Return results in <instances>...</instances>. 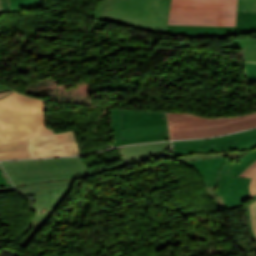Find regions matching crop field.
Masks as SVG:
<instances>
[{
	"label": "crop field",
	"mask_w": 256,
	"mask_h": 256,
	"mask_svg": "<svg viewBox=\"0 0 256 256\" xmlns=\"http://www.w3.org/2000/svg\"><path fill=\"white\" fill-rule=\"evenodd\" d=\"M173 156L192 153H211L220 151H241L256 148V129L214 139L173 142Z\"/></svg>",
	"instance_id": "7"
},
{
	"label": "crop field",
	"mask_w": 256,
	"mask_h": 256,
	"mask_svg": "<svg viewBox=\"0 0 256 256\" xmlns=\"http://www.w3.org/2000/svg\"><path fill=\"white\" fill-rule=\"evenodd\" d=\"M13 91V90H12ZM12 91H7V92H1L0 93V98L6 96L8 93L12 92Z\"/></svg>",
	"instance_id": "27"
},
{
	"label": "crop field",
	"mask_w": 256,
	"mask_h": 256,
	"mask_svg": "<svg viewBox=\"0 0 256 256\" xmlns=\"http://www.w3.org/2000/svg\"><path fill=\"white\" fill-rule=\"evenodd\" d=\"M112 111V127L115 135L116 146L136 142H150L169 139L166 124L121 130V110L112 109Z\"/></svg>",
	"instance_id": "10"
},
{
	"label": "crop field",
	"mask_w": 256,
	"mask_h": 256,
	"mask_svg": "<svg viewBox=\"0 0 256 256\" xmlns=\"http://www.w3.org/2000/svg\"><path fill=\"white\" fill-rule=\"evenodd\" d=\"M246 82H256V63H245Z\"/></svg>",
	"instance_id": "21"
},
{
	"label": "crop field",
	"mask_w": 256,
	"mask_h": 256,
	"mask_svg": "<svg viewBox=\"0 0 256 256\" xmlns=\"http://www.w3.org/2000/svg\"><path fill=\"white\" fill-rule=\"evenodd\" d=\"M218 186L206 188L210 198L216 203L218 209H221L219 200L215 195Z\"/></svg>",
	"instance_id": "22"
},
{
	"label": "crop field",
	"mask_w": 256,
	"mask_h": 256,
	"mask_svg": "<svg viewBox=\"0 0 256 256\" xmlns=\"http://www.w3.org/2000/svg\"><path fill=\"white\" fill-rule=\"evenodd\" d=\"M7 90H12V89L7 88V87H5V86H3V85H0V92H1V91H7Z\"/></svg>",
	"instance_id": "26"
},
{
	"label": "crop field",
	"mask_w": 256,
	"mask_h": 256,
	"mask_svg": "<svg viewBox=\"0 0 256 256\" xmlns=\"http://www.w3.org/2000/svg\"><path fill=\"white\" fill-rule=\"evenodd\" d=\"M249 231L256 241V197L246 204Z\"/></svg>",
	"instance_id": "17"
},
{
	"label": "crop field",
	"mask_w": 256,
	"mask_h": 256,
	"mask_svg": "<svg viewBox=\"0 0 256 256\" xmlns=\"http://www.w3.org/2000/svg\"><path fill=\"white\" fill-rule=\"evenodd\" d=\"M256 160V149L250 151L240 160L235 163L230 164L227 173L232 175V177H237V175L244 170L249 164Z\"/></svg>",
	"instance_id": "16"
},
{
	"label": "crop field",
	"mask_w": 256,
	"mask_h": 256,
	"mask_svg": "<svg viewBox=\"0 0 256 256\" xmlns=\"http://www.w3.org/2000/svg\"><path fill=\"white\" fill-rule=\"evenodd\" d=\"M164 117V119H162ZM164 112L122 110V129L164 124Z\"/></svg>",
	"instance_id": "11"
},
{
	"label": "crop field",
	"mask_w": 256,
	"mask_h": 256,
	"mask_svg": "<svg viewBox=\"0 0 256 256\" xmlns=\"http://www.w3.org/2000/svg\"><path fill=\"white\" fill-rule=\"evenodd\" d=\"M217 38L256 32V13L237 12L236 28L217 27Z\"/></svg>",
	"instance_id": "12"
},
{
	"label": "crop field",
	"mask_w": 256,
	"mask_h": 256,
	"mask_svg": "<svg viewBox=\"0 0 256 256\" xmlns=\"http://www.w3.org/2000/svg\"><path fill=\"white\" fill-rule=\"evenodd\" d=\"M222 47H232L244 49L245 61H255L256 62V39L247 38L234 40L230 45H222Z\"/></svg>",
	"instance_id": "15"
},
{
	"label": "crop field",
	"mask_w": 256,
	"mask_h": 256,
	"mask_svg": "<svg viewBox=\"0 0 256 256\" xmlns=\"http://www.w3.org/2000/svg\"><path fill=\"white\" fill-rule=\"evenodd\" d=\"M171 0H103L89 15L95 19L188 39L217 35L216 27L167 26Z\"/></svg>",
	"instance_id": "1"
},
{
	"label": "crop field",
	"mask_w": 256,
	"mask_h": 256,
	"mask_svg": "<svg viewBox=\"0 0 256 256\" xmlns=\"http://www.w3.org/2000/svg\"><path fill=\"white\" fill-rule=\"evenodd\" d=\"M171 139L209 137L256 126V113L234 118H203L166 113Z\"/></svg>",
	"instance_id": "5"
},
{
	"label": "crop field",
	"mask_w": 256,
	"mask_h": 256,
	"mask_svg": "<svg viewBox=\"0 0 256 256\" xmlns=\"http://www.w3.org/2000/svg\"><path fill=\"white\" fill-rule=\"evenodd\" d=\"M11 12H21L20 8L40 7L43 0H10Z\"/></svg>",
	"instance_id": "19"
},
{
	"label": "crop field",
	"mask_w": 256,
	"mask_h": 256,
	"mask_svg": "<svg viewBox=\"0 0 256 256\" xmlns=\"http://www.w3.org/2000/svg\"><path fill=\"white\" fill-rule=\"evenodd\" d=\"M237 0H172L168 25L235 27Z\"/></svg>",
	"instance_id": "4"
},
{
	"label": "crop field",
	"mask_w": 256,
	"mask_h": 256,
	"mask_svg": "<svg viewBox=\"0 0 256 256\" xmlns=\"http://www.w3.org/2000/svg\"><path fill=\"white\" fill-rule=\"evenodd\" d=\"M246 11L256 12V0H248Z\"/></svg>",
	"instance_id": "24"
},
{
	"label": "crop field",
	"mask_w": 256,
	"mask_h": 256,
	"mask_svg": "<svg viewBox=\"0 0 256 256\" xmlns=\"http://www.w3.org/2000/svg\"><path fill=\"white\" fill-rule=\"evenodd\" d=\"M234 152H220V153H212V154H193L189 156L179 157L182 161H189V160H200L206 158H214V157H221V156H229L233 155Z\"/></svg>",
	"instance_id": "20"
},
{
	"label": "crop field",
	"mask_w": 256,
	"mask_h": 256,
	"mask_svg": "<svg viewBox=\"0 0 256 256\" xmlns=\"http://www.w3.org/2000/svg\"><path fill=\"white\" fill-rule=\"evenodd\" d=\"M170 147V142L157 143V144H145L134 145L125 148H119L121 152L122 162L133 160L137 157L152 154L165 150Z\"/></svg>",
	"instance_id": "13"
},
{
	"label": "crop field",
	"mask_w": 256,
	"mask_h": 256,
	"mask_svg": "<svg viewBox=\"0 0 256 256\" xmlns=\"http://www.w3.org/2000/svg\"><path fill=\"white\" fill-rule=\"evenodd\" d=\"M45 102L16 91L0 100V144L54 133L46 128Z\"/></svg>",
	"instance_id": "3"
},
{
	"label": "crop field",
	"mask_w": 256,
	"mask_h": 256,
	"mask_svg": "<svg viewBox=\"0 0 256 256\" xmlns=\"http://www.w3.org/2000/svg\"><path fill=\"white\" fill-rule=\"evenodd\" d=\"M33 157H52L78 155L77 136L72 131L36 137L30 139Z\"/></svg>",
	"instance_id": "9"
},
{
	"label": "crop field",
	"mask_w": 256,
	"mask_h": 256,
	"mask_svg": "<svg viewBox=\"0 0 256 256\" xmlns=\"http://www.w3.org/2000/svg\"><path fill=\"white\" fill-rule=\"evenodd\" d=\"M247 0H238L237 11H245Z\"/></svg>",
	"instance_id": "25"
},
{
	"label": "crop field",
	"mask_w": 256,
	"mask_h": 256,
	"mask_svg": "<svg viewBox=\"0 0 256 256\" xmlns=\"http://www.w3.org/2000/svg\"><path fill=\"white\" fill-rule=\"evenodd\" d=\"M238 177L252 178L249 191L251 193V197L256 195V161L249 165L244 171H242Z\"/></svg>",
	"instance_id": "18"
},
{
	"label": "crop field",
	"mask_w": 256,
	"mask_h": 256,
	"mask_svg": "<svg viewBox=\"0 0 256 256\" xmlns=\"http://www.w3.org/2000/svg\"><path fill=\"white\" fill-rule=\"evenodd\" d=\"M73 186L74 185L44 186L43 188L40 187L19 191L22 195L35 194L37 199L31 208L37 212L34 218L25 226V229L29 232L21 241L24 248L30 239L47 222L52 212L60 204L62 199L67 195ZM44 208L48 210L42 214L41 211Z\"/></svg>",
	"instance_id": "8"
},
{
	"label": "crop field",
	"mask_w": 256,
	"mask_h": 256,
	"mask_svg": "<svg viewBox=\"0 0 256 256\" xmlns=\"http://www.w3.org/2000/svg\"><path fill=\"white\" fill-rule=\"evenodd\" d=\"M10 12L9 0H0V13Z\"/></svg>",
	"instance_id": "23"
},
{
	"label": "crop field",
	"mask_w": 256,
	"mask_h": 256,
	"mask_svg": "<svg viewBox=\"0 0 256 256\" xmlns=\"http://www.w3.org/2000/svg\"><path fill=\"white\" fill-rule=\"evenodd\" d=\"M231 157L186 162L200 171L206 187L219 185L217 195H221L225 208L238 206L250 197L248 187L251 179L225 175Z\"/></svg>",
	"instance_id": "6"
},
{
	"label": "crop field",
	"mask_w": 256,
	"mask_h": 256,
	"mask_svg": "<svg viewBox=\"0 0 256 256\" xmlns=\"http://www.w3.org/2000/svg\"><path fill=\"white\" fill-rule=\"evenodd\" d=\"M1 163L17 190L44 185L74 184L75 179L101 172H90L81 157Z\"/></svg>",
	"instance_id": "2"
},
{
	"label": "crop field",
	"mask_w": 256,
	"mask_h": 256,
	"mask_svg": "<svg viewBox=\"0 0 256 256\" xmlns=\"http://www.w3.org/2000/svg\"><path fill=\"white\" fill-rule=\"evenodd\" d=\"M31 157L28 140L0 145V159H15Z\"/></svg>",
	"instance_id": "14"
}]
</instances>
